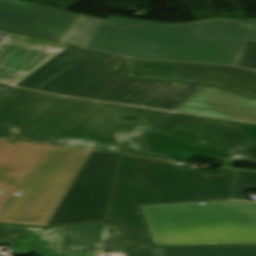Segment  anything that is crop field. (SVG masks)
Segmentation results:
<instances>
[{
    "mask_svg": "<svg viewBox=\"0 0 256 256\" xmlns=\"http://www.w3.org/2000/svg\"><path fill=\"white\" fill-rule=\"evenodd\" d=\"M120 158L92 151L48 225L106 221Z\"/></svg>",
    "mask_w": 256,
    "mask_h": 256,
    "instance_id": "7",
    "label": "crop field"
},
{
    "mask_svg": "<svg viewBox=\"0 0 256 256\" xmlns=\"http://www.w3.org/2000/svg\"><path fill=\"white\" fill-rule=\"evenodd\" d=\"M105 224L76 226L64 256H98Z\"/></svg>",
    "mask_w": 256,
    "mask_h": 256,
    "instance_id": "11",
    "label": "crop field"
},
{
    "mask_svg": "<svg viewBox=\"0 0 256 256\" xmlns=\"http://www.w3.org/2000/svg\"><path fill=\"white\" fill-rule=\"evenodd\" d=\"M238 172L207 176L173 162L122 156L107 222L119 224L124 237L153 244L140 205L231 199Z\"/></svg>",
    "mask_w": 256,
    "mask_h": 256,
    "instance_id": "4",
    "label": "crop field"
},
{
    "mask_svg": "<svg viewBox=\"0 0 256 256\" xmlns=\"http://www.w3.org/2000/svg\"><path fill=\"white\" fill-rule=\"evenodd\" d=\"M75 226L45 229L32 249L44 256H63Z\"/></svg>",
    "mask_w": 256,
    "mask_h": 256,
    "instance_id": "14",
    "label": "crop field"
},
{
    "mask_svg": "<svg viewBox=\"0 0 256 256\" xmlns=\"http://www.w3.org/2000/svg\"><path fill=\"white\" fill-rule=\"evenodd\" d=\"M249 41H256V27Z\"/></svg>",
    "mask_w": 256,
    "mask_h": 256,
    "instance_id": "17",
    "label": "crop field"
},
{
    "mask_svg": "<svg viewBox=\"0 0 256 256\" xmlns=\"http://www.w3.org/2000/svg\"><path fill=\"white\" fill-rule=\"evenodd\" d=\"M44 229L0 224V243L12 244L13 254H29Z\"/></svg>",
    "mask_w": 256,
    "mask_h": 256,
    "instance_id": "13",
    "label": "crop field"
},
{
    "mask_svg": "<svg viewBox=\"0 0 256 256\" xmlns=\"http://www.w3.org/2000/svg\"><path fill=\"white\" fill-rule=\"evenodd\" d=\"M256 20L211 19L183 25L109 17L99 20L18 0H0V28L137 59L256 69Z\"/></svg>",
    "mask_w": 256,
    "mask_h": 256,
    "instance_id": "2",
    "label": "crop field"
},
{
    "mask_svg": "<svg viewBox=\"0 0 256 256\" xmlns=\"http://www.w3.org/2000/svg\"><path fill=\"white\" fill-rule=\"evenodd\" d=\"M99 254L126 256H158L155 247L120 238L117 226L106 225Z\"/></svg>",
    "mask_w": 256,
    "mask_h": 256,
    "instance_id": "12",
    "label": "crop field"
},
{
    "mask_svg": "<svg viewBox=\"0 0 256 256\" xmlns=\"http://www.w3.org/2000/svg\"><path fill=\"white\" fill-rule=\"evenodd\" d=\"M66 47L0 31V96Z\"/></svg>",
    "mask_w": 256,
    "mask_h": 256,
    "instance_id": "9",
    "label": "crop field"
},
{
    "mask_svg": "<svg viewBox=\"0 0 256 256\" xmlns=\"http://www.w3.org/2000/svg\"><path fill=\"white\" fill-rule=\"evenodd\" d=\"M90 153L0 137V222L46 227Z\"/></svg>",
    "mask_w": 256,
    "mask_h": 256,
    "instance_id": "3",
    "label": "crop field"
},
{
    "mask_svg": "<svg viewBox=\"0 0 256 256\" xmlns=\"http://www.w3.org/2000/svg\"><path fill=\"white\" fill-rule=\"evenodd\" d=\"M175 111L256 122V99L206 86Z\"/></svg>",
    "mask_w": 256,
    "mask_h": 256,
    "instance_id": "10",
    "label": "crop field"
},
{
    "mask_svg": "<svg viewBox=\"0 0 256 256\" xmlns=\"http://www.w3.org/2000/svg\"><path fill=\"white\" fill-rule=\"evenodd\" d=\"M0 136L188 162L256 163V124L58 97L14 87L0 98Z\"/></svg>",
    "mask_w": 256,
    "mask_h": 256,
    "instance_id": "1",
    "label": "crop field"
},
{
    "mask_svg": "<svg viewBox=\"0 0 256 256\" xmlns=\"http://www.w3.org/2000/svg\"><path fill=\"white\" fill-rule=\"evenodd\" d=\"M18 86L59 95L172 110L202 85L126 79L116 57L67 47Z\"/></svg>",
    "mask_w": 256,
    "mask_h": 256,
    "instance_id": "5",
    "label": "crop field"
},
{
    "mask_svg": "<svg viewBox=\"0 0 256 256\" xmlns=\"http://www.w3.org/2000/svg\"><path fill=\"white\" fill-rule=\"evenodd\" d=\"M245 189H256V173L239 172L238 180L232 199L246 200L243 196Z\"/></svg>",
    "mask_w": 256,
    "mask_h": 256,
    "instance_id": "16",
    "label": "crop field"
},
{
    "mask_svg": "<svg viewBox=\"0 0 256 256\" xmlns=\"http://www.w3.org/2000/svg\"><path fill=\"white\" fill-rule=\"evenodd\" d=\"M129 77L209 83L256 97V72L225 65L175 63L123 58Z\"/></svg>",
    "mask_w": 256,
    "mask_h": 256,
    "instance_id": "8",
    "label": "crop field"
},
{
    "mask_svg": "<svg viewBox=\"0 0 256 256\" xmlns=\"http://www.w3.org/2000/svg\"><path fill=\"white\" fill-rule=\"evenodd\" d=\"M154 244H256V203L222 201L141 206Z\"/></svg>",
    "mask_w": 256,
    "mask_h": 256,
    "instance_id": "6",
    "label": "crop field"
},
{
    "mask_svg": "<svg viewBox=\"0 0 256 256\" xmlns=\"http://www.w3.org/2000/svg\"><path fill=\"white\" fill-rule=\"evenodd\" d=\"M159 256H256V247L156 248Z\"/></svg>",
    "mask_w": 256,
    "mask_h": 256,
    "instance_id": "15",
    "label": "crop field"
}]
</instances>
